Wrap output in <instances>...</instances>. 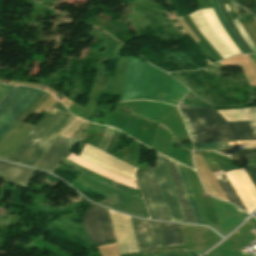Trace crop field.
I'll list each match as a JSON object with an SVG mask.
<instances>
[{"mask_svg": "<svg viewBox=\"0 0 256 256\" xmlns=\"http://www.w3.org/2000/svg\"><path fill=\"white\" fill-rule=\"evenodd\" d=\"M42 93L30 87L14 86L0 101V137L10 124ZM12 125V124H11ZM5 134V133H4Z\"/></svg>", "mask_w": 256, "mask_h": 256, "instance_id": "obj_6", "label": "crop field"}, {"mask_svg": "<svg viewBox=\"0 0 256 256\" xmlns=\"http://www.w3.org/2000/svg\"><path fill=\"white\" fill-rule=\"evenodd\" d=\"M248 120H256V108L248 109Z\"/></svg>", "mask_w": 256, "mask_h": 256, "instance_id": "obj_27", "label": "crop field"}, {"mask_svg": "<svg viewBox=\"0 0 256 256\" xmlns=\"http://www.w3.org/2000/svg\"><path fill=\"white\" fill-rule=\"evenodd\" d=\"M132 219L140 250L163 247L157 222Z\"/></svg>", "mask_w": 256, "mask_h": 256, "instance_id": "obj_11", "label": "crop field"}, {"mask_svg": "<svg viewBox=\"0 0 256 256\" xmlns=\"http://www.w3.org/2000/svg\"><path fill=\"white\" fill-rule=\"evenodd\" d=\"M213 175L215 176V178L218 181V183L220 184L221 188L227 195L230 202L234 203L235 205H237L238 207H240L246 211L242 202L240 201L239 197L237 196L236 192L234 191L233 187L231 186L229 180L227 179L226 175L224 174L223 170L213 172Z\"/></svg>", "mask_w": 256, "mask_h": 256, "instance_id": "obj_17", "label": "crop field"}, {"mask_svg": "<svg viewBox=\"0 0 256 256\" xmlns=\"http://www.w3.org/2000/svg\"><path fill=\"white\" fill-rule=\"evenodd\" d=\"M192 20L195 22L201 33L210 42V44L216 49V51L221 55L223 59L231 57L230 53L221 43V41L216 37V35L211 31L207 22L199 12V10L189 14Z\"/></svg>", "mask_w": 256, "mask_h": 256, "instance_id": "obj_14", "label": "crop field"}, {"mask_svg": "<svg viewBox=\"0 0 256 256\" xmlns=\"http://www.w3.org/2000/svg\"><path fill=\"white\" fill-rule=\"evenodd\" d=\"M227 121L247 120L246 109L217 110Z\"/></svg>", "mask_w": 256, "mask_h": 256, "instance_id": "obj_21", "label": "crop field"}, {"mask_svg": "<svg viewBox=\"0 0 256 256\" xmlns=\"http://www.w3.org/2000/svg\"><path fill=\"white\" fill-rule=\"evenodd\" d=\"M178 108L193 142L256 139V121L227 122L213 107Z\"/></svg>", "mask_w": 256, "mask_h": 256, "instance_id": "obj_3", "label": "crop field"}, {"mask_svg": "<svg viewBox=\"0 0 256 256\" xmlns=\"http://www.w3.org/2000/svg\"><path fill=\"white\" fill-rule=\"evenodd\" d=\"M83 226L95 245L115 241L108 210L91 204L84 213Z\"/></svg>", "mask_w": 256, "mask_h": 256, "instance_id": "obj_7", "label": "crop field"}, {"mask_svg": "<svg viewBox=\"0 0 256 256\" xmlns=\"http://www.w3.org/2000/svg\"><path fill=\"white\" fill-rule=\"evenodd\" d=\"M34 170L15 166L0 160V176L26 188Z\"/></svg>", "mask_w": 256, "mask_h": 256, "instance_id": "obj_13", "label": "crop field"}, {"mask_svg": "<svg viewBox=\"0 0 256 256\" xmlns=\"http://www.w3.org/2000/svg\"><path fill=\"white\" fill-rule=\"evenodd\" d=\"M164 247L182 245L183 239L178 225L158 222Z\"/></svg>", "mask_w": 256, "mask_h": 256, "instance_id": "obj_15", "label": "crop field"}, {"mask_svg": "<svg viewBox=\"0 0 256 256\" xmlns=\"http://www.w3.org/2000/svg\"><path fill=\"white\" fill-rule=\"evenodd\" d=\"M13 86L0 84V99L12 88Z\"/></svg>", "mask_w": 256, "mask_h": 256, "instance_id": "obj_26", "label": "crop field"}, {"mask_svg": "<svg viewBox=\"0 0 256 256\" xmlns=\"http://www.w3.org/2000/svg\"><path fill=\"white\" fill-rule=\"evenodd\" d=\"M211 5L221 23V25L224 27V29L227 31V33L230 35V37L233 39V41L235 42V44L237 45V47L240 49V51L242 52V54H246V50L243 48V46L240 44V42L237 40V38L234 36V34L232 33V31L230 30L229 26L227 25L224 17L221 14V11L218 7L217 1L216 0H210Z\"/></svg>", "mask_w": 256, "mask_h": 256, "instance_id": "obj_19", "label": "crop field"}, {"mask_svg": "<svg viewBox=\"0 0 256 256\" xmlns=\"http://www.w3.org/2000/svg\"><path fill=\"white\" fill-rule=\"evenodd\" d=\"M75 118L69 113L52 109L19 146L9 161L34 167L55 138Z\"/></svg>", "mask_w": 256, "mask_h": 256, "instance_id": "obj_4", "label": "crop field"}, {"mask_svg": "<svg viewBox=\"0 0 256 256\" xmlns=\"http://www.w3.org/2000/svg\"><path fill=\"white\" fill-rule=\"evenodd\" d=\"M151 218L169 220L153 169L136 173Z\"/></svg>", "mask_w": 256, "mask_h": 256, "instance_id": "obj_8", "label": "crop field"}, {"mask_svg": "<svg viewBox=\"0 0 256 256\" xmlns=\"http://www.w3.org/2000/svg\"><path fill=\"white\" fill-rule=\"evenodd\" d=\"M155 67V66H154ZM134 58H128L120 101L147 99L162 101L166 73ZM188 89L168 75L164 102L177 106Z\"/></svg>", "mask_w": 256, "mask_h": 256, "instance_id": "obj_1", "label": "crop field"}, {"mask_svg": "<svg viewBox=\"0 0 256 256\" xmlns=\"http://www.w3.org/2000/svg\"><path fill=\"white\" fill-rule=\"evenodd\" d=\"M251 59L256 63V55H249Z\"/></svg>", "mask_w": 256, "mask_h": 256, "instance_id": "obj_28", "label": "crop field"}, {"mask_svg": "<svg viewBox=\"0 0 256 256\" xmlns=\"http://www.w3.org/2000/svg\"><path fill=\"white\" fill-rule=\"evenodd\" d=\"M80 157L93 162L105 169H108L114 173H117L123 177L129 178L135 181L134 173L137 168L122 162L105 152L90 146L89 144L81 153Z\"/></svg>", "mask_w": 256, "mask_h": 256, "instance_id": "obj_9", "label": "crop field"}, {"mask_svg": "<svg viewBox=\"0 0 256 256\" xmlns=\"http://www.w3.org/2000/svg\"><path fill=\"white\" fill-rule=\"evenodd\" d=\"M194 145V150L237 148V146H227L226 142L194 143Z\"/></svg>", "mask_w": 256, "mask_h": 256, "instance_id": "obj_22", "label": "crop field"}, {"mask_svg": "<svg viewBox=\"0 0 256 256\" xmlns=\"http://www.w3.org/2000/svg\"><path fill=\"white\" fill-rule=\"evenodd\" d=\"M177 164L176 162L157 154L156 168H153L170 220L175 222H198L203 224L184 167L178 164L197 219L196 222Z\"/></svg>", "mask_w": 256, "mask_h": 256, "instance_id": "obj_2", "label": "crop field"}, {"mask_svg": "<svg viewBox=\"0 0 256 256\" xmlns=\"http://www.w3.org/2000/svg\"><path fill=\"white\" fill-rule=\"evenodd\" d=\"M64 163L76 169L77 171L81 172L83 175L87 177H90L94 180H97L101 183L109 185L113 188L119 189L121 191L130 193L139 197L138 191L136 189L118 184L114 181H111L102 176H99L67 159L64 161ZM83 175H81L74 182L107 197L104 201L98 202V203H101L103 205H106L108 207H111L123 213L140 216V217H146V214L140 199L130 196L128 194H125L123 192L117 191L115 189H112L106 185H103Z\"/></svg>", "mask_w": 256, "mask_h": 256, "instance_id": "obj_5", "label": "crop field"}, {"mask_svg": "<svg viewBox=\"0 0 256 256\" xmlns=\"http://www.w3.org/2000/svg\"><path fill=\"white\" fill-rule=\"evenodd\" d=\"M109 212L120 254L138 251L130 217Z\"/></svg>", "mask_w": 256, "mask_h": 256, "instance_id": "obj_10", "label": "crop field"}, {"mask_svg": "<svg viewBox=\"0 0 256 256\" xmlns=\"http://www.w3.org/2000/svg\"><path fill=\"white\" fill-rule=\"evenodd\" d=\"M228 158L239 159H256V149H243V150H220L212 151Z\"/></svg>", "mask_w": 256, "mask_h": 256, "instance_id": "obj_18", "label": "crop field"}, {"mask_svg": "<svg viewBox=\"0 0 256 256\" xmlns=\"http://www.w3.org/2000/svg\"><path fill=\"white\" fill-rule=\"evenodd\" d=\"M75 141L65 139L58 136L43 157L39 160L35 167L53 172L63 157L74 145Z\"/></svg>", "mask_w": 256, "mask_h": 256, "instance_id": "obj_12", "label": "crop field"}, {"mask_svg": "<svg viewBox=\"0 0 256 256\" xmlns=\"http://www.w3.org/2000/svg\"><path fill=\"white\" fill-rule=\"evenodd\" d=\"M219 7L228 23V25L230 26V28L232 29L233 33L235 34V36L238 38V40L241 42V44L244 46V48L248 51V53H252L253 52L250 50L249 46L247 45V43L245 42V40L242 38V36L240 35V33L238 32V30L235 28V26L233 25L231 18L224 6V3L222 0H217Z\"/></svg>", "mask_w": 256, "mask_h": 256, "instance_id": "obj_20", "label": "crop field"}, {"mask_svg": "<svg viewBox=\"0 0 256 256\" xmlns=\"http://www.w3.org/2000/svg\"><path fill=\"white\" fill-rule=\"evenodd\" d=\"M68 159H70V160H72V161H74V162H76V163H78V164H80V165H82V166H84V167H86V168H88V169L106 177V178H109V179L114 180L118 183H121V184H124V185H127V186H130V187H133V188L137 189L136 183L134 181H131L129 179H126V178H123L121 176L110 173L108 171H105V170H103V169H101V168H99V167H97V166H95V165H93V164L75 156L72 153L70 154Z\"/></svg>", "mask_w": 256, "mask_h": 256, "instance_id": "obj_16", "label": "crop field"}, {"mask_svg": "<svg viewBox=\"0 0 256 256\" xmlns=\"http://www.w3.org/2000/svg\"><path fill=\"white\" fill-rule=\"evenodd\" d=\"M244 168L256 187V164L244 165Z\"/></svg>", "mask_w": 256, "mask_h": 256, "instance_id": "obj_24", "label": "crop field"}, {"mask_svg": "<svg viewBox=\"0 0 256 256\" xmlns=\"http://www.w3.org/2000/svg\"><path fill=\"white\" fill-rule=\"evenodd\" d=\"M199 254L191 251H180V252H172V253H163V254H155V255H146V256H197Z\"/></svg>", "mask_w": 256, "mask_h": 256, "instance_id": "obj_23", "label": "crop field"}, {"mask_svg": "<svg viewBox=\"0 0 256 256\" xmlns=\"http://www.w3.org/2000/svg\"><path fill=\"white\" fill-rule=\"evenodd\" d=\"M239 148L256 147L255 141H236Z\"/></svg>", "mask_w": 256, "mask_h": 256, "instance_id": "obj_25", "label": "crop field"}]
</instances>
